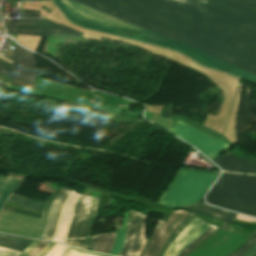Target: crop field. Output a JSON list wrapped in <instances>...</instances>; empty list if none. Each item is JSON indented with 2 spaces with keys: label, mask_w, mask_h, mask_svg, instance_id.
Here are the masks:
<instances>
[{
  "label": "crop field",
  "mask_w": 256,
  "mask_h": 256,
  "mask_svg": "<svg viewBox=\"0 0 256 256\" xmlns=\"http://www.w3.org/2000/svg\"><path fill=\"white\" fill-rule=\"evenodd\" d=\"M206 201L256 216V176L224 173L209 192Z\"/></svg>",
  "instance_id": "1"
},
{
  "label": "crop field",
  "mask_w": 256,
  "mask_h": 256,
  "mask_svg": "<svg viewBox=\"0 0 256 256\" xmlns=\"http://www.w3.org/2000/svg\"><path fill=\"white\" fill-rule=\"evenodd\" d=\"M217 174L180 170L161 205L181 207L199 201Z\"/></svg>",
  "instance_id": "2"
},
{
  "label": "crop field",
  "mask_w": 256,
  "mask_h": 256,
  "mask_svg": "<svg viewBox=\"0 0 256 256\" xmlns=\"http://www.w3.org/2000/svg\"><path fill=\"white\" fill-rule=\"evenodd\" d=\"M83 195L98 199L101 193L85 189ZM83 195L75 205L65 243L86 250L95 218L97 199Z\"/></svg>",
  "instance_id": "3"
},
{
  "label": "crop field",
  "mask_w": 256,
  "mask_h": 256,
  "mask_svg": "<svg viewBox=\"0 0 256 256\" xmlns=\"http://www.w3.org/2000/svg\"><path fill=\"white\" fill-rule=\"evenodd\" d=\"M169 132L196 146L211 159L230 146L180 120Z\"/></svg>",
  "instance_id": "4"
},
{
  "label": "crop field",
  "mask_w": 256,
  "mask_h": 256,
  "mask_svg": "<svg viewBox=\"0 0 256 256\" xmlns=\"http://www.w3.org/2000/svg\"><path fill=\"white\" fill-rule=\"evenodd\" d=\"M7 32L10 34L37 36H50L51 34L67 35L77 38H81L83 35V33L43 19L10 20L7 24Z\"/></svg>",
  "instance_id": "5"
},
{
  "label": "crop field",
  "mask_w": 256,
  "mask_h": 256,
  "mask_svg": "<svg viewBox=\"0 0 256 256\" xmlns=\"http://www.w3.org/2000/svg\"><path fill=\"white\" fill-rule=\"evenodd\" d=\"M148 215L133 212L127 221V236L120 256H139L147 240L146 221Z\"/></svg>",
  "instance_id": "6"
},
{
  "label": "crop field",
  "mask_w": 256,
  "mask_h": 256,
  "mask_svg": "<svg viewBox=\"0 0 256 256\" xmlns=\"http://www.w3.org/2000/svg\"><path fill=\"white\" fill-rule=\"evenodd\" d=\"M18 45V44H17ZM15 47L13 62L11 58L0 54L1 56L11 60H7L0 56V58L5 59L13 63V67L0 62V73L11 76L13 79L31 81L34 82L35 79V59L34 54L20 48L19 46Z\"/></svg>",
  "instance_id": "7"
},
{
  "label": "crop field",
  "mask_w": 256,
  "mask_h": 256,
  "mask_svg": "<svg viewBox=\"0 0 256 256\" xmlns=\"http://www.w3.org/2000/svg\"><path fill=\"white\" fill-rule=\"evenodd\" d=\"M188 215L187 211H174L168 222L157 220L152 238L143 256H158L163 245Z\"/></svg>",
  "instance_id": "8"
},
{
  "label": "crop field",
  "mask_w": 256,
  "mask_h": 256,
  "mask_svg": "<svg viewBox=\"0 0 256 256\" xmlns=\"http://www.w3.org/2000/svg\"><path fill=\"white\" fill-rule=\"evenodd\" d=\"M70 192L71 190L63 187V189L57 195L56 199L54 200V202L50 207L47 222L40 239L49 240V241L52 240L55 228L57 226L62 205L65 199L67 198V196L70 194Z\"/></svg>",
  "instance_id": "9"
},
{
  "label": "crop field",
  "mask_w": 256,
  "mask_h": 256,
  "mask_svg": "<svg viewBox=\"0 0 256 256\" xmlns=\"http://www.w3.org/2000/svg\"><path fill=\"white\" fill-rule=\"evenodd\" d=\"M223 170L235 171L242 173H255L256 174V161L248 159H240L231 153L224 156H219L213 160Z\"/></svg>",
  "instance_id": "10"
},
{
  "label": "crop field",
  "mask_w": 256,
  "mask_h": 256,
  "mask_svg": "<svg viewBox=\"0 0 256 256\" xmlns=\"http://www.w3.org/2000/svg\"><path fill=\"white\" fill-rule=\"evenodd\" d=\"M79 196H80V194H77L73 191L69 195V197L64 205V208L62 210L60 220H59V223L56 228L55 235H54V238L52 241L64 243V240L67 235L73 207H74V204L76 203L77 199L79 198Z\"/></svg>",
  "instance_id": "11"
},
{
  "label": "crop field",
  "mask_w": 256,
  "mask_h": 256,
  "mask_svg": "<svg viewBox=\"0 0 256 256\" xmlns=\"http://www.w3.org/2000/svg\"><path fill=\"white\" fill-rule=\"evenodd\" d=\"M183 208H186L191 212L199 215L227 221L224 224V226L221 228L223 230H227L230 222L234 219L236 215L235 213H231V212L220 210L214 207L207 206L201 202L193 204L191 206L183 207Z\"/></svg>",
  "instance_id": "12"
},
{
  "label": "crop field",
  "mask_w": 256,
  "mask_h": 256,
  "mask_svg": "<svg viewBox=\"0 0 256 256\" xmlns=\"http://www.w3.org/2000/svg\"><path fill=\"white\" fill-rule=\"evenodd\" d=\"M22 181V178H4L0 176V210L8 196L19 188Z\"/></svg>",
  "instance_id": "13"
},
{
  "label": "crop field",
  "mask_w": 256,
  "mask_h": 256,
  "mask_svg": "<svg viewBox=\"0 0 256 256\" xmlns=\"http://www.w3.org/2000/svg\"><path fill=\"white\" fill-rule=\"evenodd\" d=\"M31 239L11 236L0 233V246L12 248L23 252L26 246L31 242Z\"/></svg>",
  "instance_id": "14"
},
{
  "label": "crop field",
  "mask_w": 256,
  "mask_h": 256,
  "mask_svg": "<svg viewBox=\"0 0 256 256\" xmlns=\"http://www.w3.org/2000/svg\"><path fill=\"white\" fill-rule=\"evenodd\" d=\"M114 236H115V233H107V234L99 235L98 241L93 251L108 254L114 242Z\"/></svg>",
  "instance_id": "15"
},
{
  "label": "crop field",
  "mask_w": 256,
  "mask_h": 256,
  "mask_svg": "<svg viewBox=\"0 0 256 256\" xmlns=\"http://www.w3.org/2000/svg\"><path fill=\"white\" fill-rule=\"evenodd\" d=\"M128 212H129V210L126 211L124 214L122 229H119L116 231V240H115V244L110 252L111 255L118 256L121 251L123 242L125 240V235H126V221H127Z\"/></svg>",
  "instance_id": "16"
},
{
  "label": "crop field",
  "mask_w": 256,
  "mask_h": 256,
  "mask_svg": "<svg viewBox=\"0 0 256 256\" xmlns=\"http://www.w3.org/2000/svg\"><path fill=\"white\" fill-rule=\"evenodd\" d=\"M8 201L14 202V203H18L24 206H28V207H32V208H36V209H42L44 203L43 202H39V201H35L32 199H28V198H24L15 194H12L10 196V198L8 199Z\"/></svg>",
  "instance_id": "17"
},
{
  "label": "crop field",
  "mask_w": 256,
  "mask_h": 256,
  "mask_svg": "<svg viewBox=\"0 0 256 256\" xmlns=\"http://www.w3.org/2000/svg\"><path fill=\"white\" fill-rule=\"evenodd\" d=\"M195 216L193 214H189L187 218L184 220V222L178 227V229L172 234V236L169 238V240L164 245L162 251L160 252L159 256H162L164 251L167 249V247L171 244V242L185 229V227L190 223V221Z\"/></svg>",
  "instance_id": "18"
},
{
  "label": "crop field",
  "mask_w": 256,
  "mask_h": 256,
  "mask_svg": "<svg viewBox=\"0 0 256 256\" xmlns=\"http://www.w3.org/2000/svg\"><path fill=\"white\" fill-rule=\"evenodd\" d=\"M256 244V235H252L244 244L227 256H241Z\"/></svg>",
  "instance_id": "19"
},
{
  "label": "crop field",
  "mask_w": 256,
  "mask_h": 256,
  "mask_svg": "<svg viewBox=\"0 0 256 256\" xmlns=\"http://www.w3.org/2000/svg\"><path fill=\"white\" fill-rule=\"evenodd\" d=\"M216 229V227L212 226L210 229H208L204 234H202L196 241H194L188 248H186L179 256H182L184 253H186L189 249H191L193 246H195L198 242H200L206 235L213 232ZM207 237V236H206Z\"/></svg>",
  "instance_id": "20"
},
{
  "label": "crop field",
  "mask_w": 256,
  "mask_h": 256,
  "mask_svg": "<svg viewBox=\"0 0 256 256\" xmlns=\"http://www.w3.org/2000/svg\"><path fill=\"white\" fill-rule=\"evenodd\" d=\"M21 252L0 247V256H19Z\"/></svg>",
  "instance_id": "21"
},
{
  "label": "crop field",
  "mask_w": 256,
  "mask_h": 256,
  "mask_svg": "<svg viewBox=\"0 0 256 256\" xmlns=\"http://www.w3.org/2000/svg\"><path fill=\"white\" fill-rule=\"evenodd\" d=\"M40 11L25 10L24 18H39Z\"/></svg>",
  "instance_id": "22"
},
{
  "label": "crop field",
  "mask_w": 256,
  "mask_h": 256,
  "mask_svg": "<svg viewBox=\"0 0 256 256\" xmlns=\"http://www.w3.org/2000/svg\"><path fill=\"white\" fill-rule=\"evenodd\" d=\"M40 242L37 241H33L28 247L27 249L21 254V256H28L33 249L39 244Z\"/></svg>",
  "instance_id": "23"
},
{
  "label": "crop field",
  "mask_w": 256,
  "mask_h": 256,
  "mask_svg": "<svg viewBox=\"0 0 256 256\" xmlns=\"http://www.w3.org/2000/svg\"><path fill=\"white\" fill-rule=\"evenodd\" d=\"M55 244L54 243H48L44 249L36 256H45L54 246Z\"/></svg>",
  "instance_id": "24"
},
{
  "label": "crop field",
  "mask_w": 256,
  "mask_h": 256,
  "mask_svg": "<svg viewBox=\"0 0 256 256\" xmlns=\"http://www.w3.org/2000/svg\"><path fill=\"white\" fill-rule=\"evenodd\" d=\"M46 244L47 243L45 242H41L29 256H35L36 254H38Z\"/></svg>",
  "instance_id": "25"
},
{
  "label": "crop field",
  "mask_w": 256,
  "mask_h": 256,
  "mask_svg": "<svg viewBox=\"0 0 256 256\" xmlns=\"http://www.w3.org/2000/svg\"><path fill=\"white\" fill-rule=\"evenodd\" d=\"M97 237H98V235L92 236L87 250H90V251L93 250V247H94V244H95V242L97 240Z\"/></svg>",
  "instance_id": "26"
},
{
  "label": "crop field",
  "mask_w": 256,
  "mask_h": 256,
  "mask_svg": "<svg viewBox=\"0 0 256 256\" xmlns=\"http://www.w3.org/2000/svg\"><path fill=\"white\" fill-rule=\"evenodd\" d=\"M65 256H90V255H82V254H78V253H76V252H73V251L69 250V251L65 254Z\"/></svg>",
  "instance_id": "27"
},
{
  "label": "crop field",
  "mask_w": 256,
  "mask_h": 256,
  "mask_svg": "<svg viewBox=\"0 0 256 256\" xmlns=\"http://www.w3.org/2000/svg\"><path fill=\"white\" fill-rule=\"evenodd\" d=\"M256 253V245L243 256H253Z\"/></svg>",
  "instance_id": "28"
},
{
  "label": "crop field",
  "mask_w": 256,
  "mask_h": 256,
  "mask_svg": "<svg viewBox=\"0 0 256 256\" xmlns=\"http://www.w3.org/2000/svg\"><path fill=\"white\" fill-rule=\"evenodd\" d=\"M254 256H256V255H254Z\"/></svg>",
  "instance_id": "29"
}]
</instances>
